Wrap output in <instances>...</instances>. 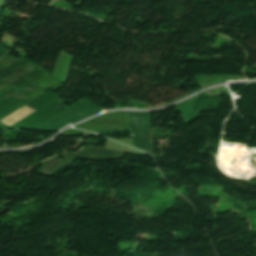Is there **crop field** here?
<instances>
[{"instance_id": "crop-field-2", "label": "crop field", "mask_w": 256, "mask_h": 256, "mask_svg": "<svg viewBox=\"0 0 256 256\" xmlns=\"http://www.w3.org/2000/svg\"><path fill=\"white\" fill-rule=\"evenodd\" d=\"M11 51L7 50L6 48L2 47L0 45V58L4 57L5 55H7L8 53H10Z\"/></svg>"}, {"instance_id": "crop-field-1", "label": "crop field", "mask_w": 256, "mask_h": 256, "mask_svg": "<svg viewBox=\"0 0 256 256\" xmlns=\"http://www.w3.org/2000/svg\"><path fill=\"white\" fill-rule=\"evenodd\" d=\"M34 111L35 110L23 106L20 109L8 115L7 117L0 120V122L11 127L20 120L24 119L25 117L33 113Z\"/></svg>"}]
</instances>
